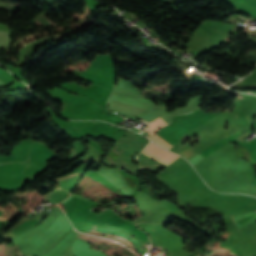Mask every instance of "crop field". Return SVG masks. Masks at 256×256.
Wrapping results in <instances>:
<instances>
[{
	"mask_svg": "<svg viewBox=\"0 0 256 256\" xmlns=\"http://www.w3.org/2000/svg\"><path fill=\"white\" fill-rule=\"evenodd\" d=\"M145 149H147V150H149V151H151V152H153V153H155V154H157V155H159V156H161V157H163V158H165V159H167L171 162H173L174 160H176L179 157V156H177V155H175V154H173L169 151H166L164 149L159 148L158 146L154 145L153 143H149V145ZM147 150H143L141 152V154H143L145 156H148L152 159L158 160L160 162H163L167 165H169L171 163V162H169V161H167V160H165V159H163V158H161V157H159V156H157V155H155V154H153V153H151Z\"/></svg>",
	"mask_w": 256,
	"mask_h": 256,
	"instance_id": "obj_1",
	"label": "crop field"
},
{
	"mask_svg": "<svg viewBox=\"0 0 256 256\" xmlns=\"http://www.w3.org/2000/svg\"><path fill=\"white\" fill-rule=\"evenodd\" d=\"M166 123L159 117L155 121H153L149 126L144 130L151 136L161 127L165 126Z\"/></svg>",
	"mask_w": 256,
	"mask_h": 256,
	"instance_id": "obj_2",
	"label": "crop field"
},
{
	"mask_svg": "<svg viewBox=\"0 0 256 256\" xmlns=\"http://www.w3.org/2000/svg\"><path fill=\"white\" fill-rule=\"evenodd\" d=\"M155 137H157L159 140H161L164 144H166L167 146L171 147L172 145L168 144L166 141H164L161 137H159L157 134L155 135ZM154 136L149 138L151 139L153 142L163 146L166 149H170L169 147H167L166 145H164L162 142H160L157 138H155Z\"/></svg>",
	"mask_w": 256,
	"mask_h": 256,
	"instance_id": "obj_3",
	"label": "crop field"
}]
</instances>
